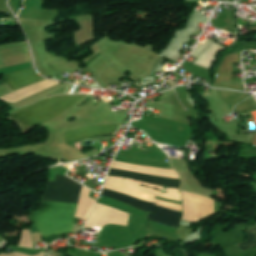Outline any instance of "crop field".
Masks as SVG:
<instances>
[{
	"label": "crop field",
	"instance_id": "8",
	"mask_svg": "<svg viewBox=\"0 0 256 256\" xmlns=\"http://www.w3.org/2000/svg\"><path fill=\"white\" fill-rule=\"evenodd\" d=\"M252 227H256V225H255V226H252ZM252 227H249V228H252ZM249 228H248V229H249Z\"/></svg>",
	"mask_w": 256,
	"mask_h": 256
},
{
	"label": "crop field",
	"instance_id": "7",
	"mask_svg": "<svg viewBox=\"0 0 256 256\" xmlns=\"http://www.w3.org/2000/svg\"><path fill=\"white\" fill-rule=\"evenodd\" d=\"M248 240L244 243L239 244V247L245 251L256 246V228L249 229L247 231Z\"/></svg>",
	"mask_w": 256,
	"mask_h": 256
},
{
	"label": "crop field",
	"instance_id": "2",
	"mask_svg": "<svg viewBox=\"0 0 256 256\" xmlns=\"http://www.w3.org/2000/svg\"><path fill=\"white\" fill-rule=\"evenodd\" d=\"M86 95L52 96L24 108L9 119L18 123L24 134L55 118Z\"/></svg>",
	"mask_w": 256,
	"mask_h": 256
},
{
	"label": "crop field",
	"instance_id": "1",
	"mask_svg": "<svg viewBox=\"0 0 256 256\" xmlns=\"http://www.w3.org/2000/svg\"><path fill=\"white\" fill-rule=\"evenodd\" d=\"M83 185L62 175L47 182L42 200L77 203ZM77 204L42 201L41 210L30 212L29 219L44 237L72 231Z\"/></svg>",
	"mask_w": 256,
	"mask_h": 256
},
{
	"label": "crop field",
	"instance_id": "4",
	"mask_svg": "<svg viewBox=\"0 0 256 256\" xmlns=\"http://www.w3.org/2000/svg\"><path fill=\"white\" fill-rule=\"evenodd\" d=\"M118 127L119 125H100L65 129L64 138L69 142L92 136L113 135Z\"/></svg>",
	"mask_w": 256,
	"mask_h": 256
},
{
	"label": "crop field",
	"instance_id": "5",
	"mask_svg": "<svg viewBox=\"0 0 256 256\" xmlns=\"http://www.w3.org/2000/svg\"><path fill=\"white\" fill-rule=\"evenodd\" d=\"M4 76L6 81L13 88V90L44 79L35 72L34 68L11 73V74H6Z\"/></svg>",
	"mask_w": 256,
	"mask_h": 256
},
{
	"label": "crop field",
	"instance_id": "6",
	"mask_svg": "<svg viewBox=\"0 0 256 256\" xmlns=\"http://www.w3.org/2000/svg\"><path fill=\"white\" fill-rule=\"evenodd\" d=\"M108 174L113 176L149 181V182L157 183V184L168 186V187H175L178 189L180 185V180L136 174V173L122 171V170L110 169Z\"/></svg>",
	"mask_w": 256,
	"mask_h": 256
},
{
	"label": "crop field",
	"instance_id": "9",
	"mask_svg": "<svg viewBox=\"0 0 256 256\" xmlns=\"http://www.w3.org/2000/svg\"><path fill=\"white\" fill-rule=\"evenodd\" d=\"M98 226H100V225H98Z\"/></svg>",
	"mask_w": 256,
	"mask_h": 256
},
{
	"label": "crop field",
	"instance_id": "3",
	"mask_svg": "<svg viewBox=\"0 0 256 256\" xmlns=\"http://www.w3.org/2000/svg\"><path fill=\"white\" fill-rule=\"evenodd\" d=\"M102 195L109 196L113 199L125 202L135 208H138L142 211H149V219L173 226L178 228L179 222L181 220L180 211L167 209L159 206H155L152 202L141 201L130 197L128 195L116 193L109 190H103Z\"/></svg>",
	"mask_w": 256,
	"mask_h": 256
}]
</instances>
